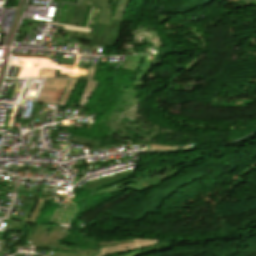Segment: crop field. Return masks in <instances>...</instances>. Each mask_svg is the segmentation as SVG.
<instances>
[{"label":"crop field","instance_id":"7","mask_svg":"<svg viewBox=\"0 0 256 256\" xmlns=\"http://www.w3.org/2000/svg\"><path fill=\"white\" fill-rule=\"evenodd\" d=\"M134 241H135V243H131V244L112 245V246L101 247V254H99L97 256H107V255L114 254L117 252L131 251L134 249L154 245L157 243L156 241H151V240H134Z\"/></svg>","mask_w":256,"mask_h":256},{"label":"crop field","instance_id":"15","mask_svg":"<svg viewBox=\"0 0 256 256\" xmlns=\"http://www.w3.org/2000/svg\"><path fill=\"white\" fill-rule=\"evenodd\" d=\"M11 56H23V57H46L48 58L49 56H40V55H22V54H12Z\"/></svg>","mask_w":256,"mask_h":256},{"label":"crop field","instance_id":"1","mask_svg":"<svg viewBox=\"0 0 256 256\" xmlns=\"http://www.w3.org/2000/svg\"><path fill=\"white\" fill-rule=\"evenodd\" d=\"M109 0H92L91 6L101 7L92 38L70 35L69 38L91 41L90 44L115 47L124 20H121L128 0H114L118 4L115 13H110L111 7L106 9Z\"/></svg>","mask_w":256,"mask_h":256},{"label":"crop field","instance_id":"9","mask_svg":"<svg viewBox=\"0 0 256 256\" xmlns=\"http://www.w3.org/2000/svg\"><path fill=\"white\" fill-rule=\"evenodd\" d=\"M132 174H134V173L131 171V172H126V173H123V174H119V175L110 177V178H108V179L97 180V181H94V182H91V183L86 184L85 186L82 187V189L88 190L89 188L96 187V186H98V185H100V184H103V183H106V182H108V181L120 179V178H123V177H125V176L132 175Z\"/></svg>","mask_w":256,"mask_h":256},{"label":"crop field","instance_id":"13","mask_svg":"<svg viewBox=\"0 0 256 256\" xmlns=\"http://www.w3.org/2000/svg\"><path fill=\"white\" fill-rule=\"evenodd\" d=\"M77 80H71L59 105L64 106Z\"/></svg>","mask_w":256,"mask_h":256},{"label":"crop field","instance_id":"14","mask_svg":"<svg viewBox=\"0 0 256 256\" xmlns=\"http://www.w3.org/2000/svg\"><path fill=\"white\" fill-rule=\"evenodd\" d=\"M136 110H137V106H136L134 109H132L131 111H128V112L123 113L122 116H121V118H122V117H126V116H128V117L138 116V113L136 112ZM121 118H120V119H121Z\"/></svg>","mask_w":256,"mask_h":256},{"label":"crop field","instance_id":"3","mask_svg":"<svg viewBox=\"0 0 256 256\" xmlns=\"http://www.w3.org/2000/svg\"><path fill=\"white\" fill-rule=\"evenodd\" d=\"M79 56H75V60L73 65H65L61 64L60 71L58 77H67V78H78V79H86L88 80L87 86L85 91L81 97L80 104L85 106L87 100L89 99L90 95L92 94L94 88L97 85V82L92 81L96 65L89 66L88 69L76 68Z\"/></svg>","mask_w":256,"mask_h":256},{"label":"crop field","instance_id":"2","mask_svg":"<svg viewBox=\"0 0 256 256\" xmlns=\"http://www.w3.org/2000/svg\"><path fill=\"white\" fill-rule=\"evenodd\" d=\"M47 228L48 227L43 224H35L34 228L31 229L26 241L37 243L36 249L58 250L53 256H95L100 253L99 244H95L87 238H85V241L83 242L85 245L97 246L99 249L85 251L78 249L75 251L66 248L65 245H59L56 240L65 239L66 235L68 234L67 229L53 227V231L51 233H46ZM62 230H65V232H62ZM69 235L73 234L71 233Z\"/></svg>","mask_w":256,"mask_h":256},{"label":"crop field","instance_id":"8","mask_svg":"<svg viewBox=\"0 0 256 256\" xmlns=\"http://www.w3.org/2000/svg\"><path fill=\"white\" fill-rule=\"evenodd\" d=\"M132 92H135V91L130 88L127 90V93L123 95L120 105L114 107L112 115L111 117H109V120H115V121L119 120L120 115L123 112L128 111L137 105L138 100L131 98ZM115 112H118V114H115Z\"/></svg>","mask_w":256,"mask_h":256},{"label":"crop field","instance_id":"6","mask_svg":"<svg viewBox=\"0 0 256 256\" xmlns=\"http://www.w3.org/2000/svg\"><path fill=\"white\" fill-rule=\"evenodd\" d=\"M68 82L69 79H46L37 101L56 105Z\"/></svg>","mask_w":256,"mask_h":256},{"label":"crop field","instance_id":"11","mask_svg":"<svg viewBox=\"0 0 256 256\" xmlns=\"http://www.w3.org/2000/svg\"><path fill=\"white\" fill-rule=\"evenodd\" d=\"M145 64H147V65L145 66ZM151 64L152 63H150V62H145L144 63L143 68H142L141 72L139 71L140 73L137 76V78H136V80H135L133 85L138 86V85L141 84V82H142V80H143V78H144L148 68L151 66Z\"/></svg>","mask_w":256,"mask_h":256},{"label":"crop field","instance_id":"12","mask_svg":"<svg viewBox=\"0 0 256 256\" xmlns=\"http://www.w3.org/2000/svg\"><path fill=\"white\" fill-rule=\"evenodd\" d=\"M185 148H190L189 145H186L185 147H180V146H169V147H164L156 144H151V150H180V149H185Z\"/></svg>","mask_w":256,"mask_h":256},{"label":"crop field","instance_id":"16","mask_svg":"<svg viewBox=\"0 0 256 256\" xmlns=\"http://www.w3.org/2000/svg\"><path fill=\"white\" fill-rule=\"evenodd\" d=\"M93 11H94V8H92V10H91V13H90V16H89V20H88V23H87V26H86V27H88V25H89V21H90V18H91V16H92Z\"/></svg>","mask_w":256,"mask_h":256},{"label":"crop field","instance_id":"5","mask_svg":"<svg viewBox=\"0 0 256 256\" xmlns=\"http://www.w3.org/2000/svg\"><path fill=\"white\" fill-rule=\"evenodd\" d=\"M179 170H180V168L177 166L176 163L158 167V168H154V169H150V170H146V171H144V175H146L147 177H145L143 179H139L132 183H129V184L125 185L124 187L130 188V189H133L136 191H140L142 189L147 188V186H145V187L143 186L145 184L148 186H153V185L160 183L162 181V179L159 176L165 174L168 177H170V176L174 175L176 172H178Z\"/></svg>","mask_w":256,"mask_h":256},{"label":"crop field","instance_id":"10","mask_svg":"<svg viewBox=\"0 0 256 256\" xmlns=\"http://www.w3.org/2000/svg\"><path fill=\"white\" fill-rule=\"evenodd\" d=\"M143 177H145V176L142 175V176H140V177L131 179V180L126 181V182H124V183L118 184V185H116L115 187L112 186V187H110V188H107V189H104V190H101V191H97V192H95V193H97V194H102V193L119 192V190H118L117 188H119V187H121V186H123V185H125V184H127V183H129V182H132V181H134V180H137V179H139V178H143Z\"/></svg>","mask_w":256,"mask_h":256},{"label":"crop field","instance_id":"4","mask_svg":"<svg viewBox=\"0 0 256 256\" xmlns=\"http://www.w3.org/2000/svg\"><path fill=\"white\" fill-rule=\"evenodd\" d=\"M137 119L136 124L141 126L142 128H149L150 130L154 131L151 133V136H145L146 132L138 131L136 130L132 125L129 124V122L121 121L120 123H111V122H105V125H108L114 129H120L122 132L118 133L117 137L125 139V136H130L132 134L140 135L139 138L141 139H147L150 140L152 139L158 132H168L170 130L162 129L153 123L149 122L146 118L144 117H134ZM171 132V131H170Z\"/></svg>","mask_w":256,"mask_h":256}]
</instances>
